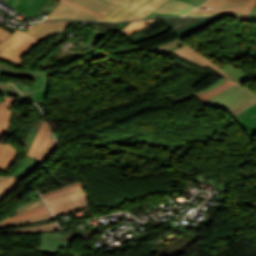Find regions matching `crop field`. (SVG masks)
Returning a JSON list of instances; mask_svg holds the SVG:
<instances>
[{
	"label": "crop field",
	"instance_id": "crop-field-1",
	"mask_svg": "<svg viewBox=\"0 0 256 256\" xmlns=\"http://www.w3.org/2000/svg\"><path fill=\"white\" fill-rule=\"evenodd\" d=\"M204 105L229 113L230 117L256 103V95L241 85L235 84L203 102Z\"/></svg>",
	"mask_w": 256,
	"mask_h": 256
},
{
	"label": "crop field",
	"instance_id": "crop-field-2",
	"mask_svg": "<svg viewBox=\"0 0 256 256\" xmlns=\"http://www.w3.org/2000/svg\"><path fill=\"white\" fill-rule=\"evenodd\" d=\"M119 5L101 21L142 19L167 0H108Z\"/></svg>",
	"mask_w": 256,
	"mask_h": 256
},
{
	"label": "crop field",
	"instance_id": "crop-field-3",
	"mask_svg": "<svg viewBox=\"0 0 256 256\" xmlns=\"http://www.w3.org/2000/svg\"><path fill=\"white\" fill-rule=\"evenodd\" d=\"M44 200L54 216L89 206L83 185L44 197Z\"/></svg>",
	"mask_w": 256,
	"mask_h": 256
},
{
	"label": "crop field",
	"instance_id": "crop-field-4",
	"mask_svg": "<svg viewBox=\"0 0 256 256\" xmlns=\"http://www.w3.org/2000/svg\"><path fill=\"white\" fill-rule=\"evenodd\" d=\"M171 52L180 57H183L193 63H196L204 68L207 66V67L219 72L227 79L232 80L237 83H241V82L253 77L249 73L243 71L241 68H239V67L235 68L234 66H232L230 64L227 65L226 67L220 69L215 64H213L210 60H208L207 58L202 56L200 53H198L197 51H195L193 48H191L188 45H184V46L177 48Z\"/></svg>",
	"mask_w": 256,
	"mask_h": 256
},
{
	"label": "crop field",
	"instance_id": "crop-field-5",
	"mask_svg": "<svg viewBox=\"0 0 256 256\" xmlns=\"http://www.w3.org/2000/svg\"><path fill=\"white\" fill-rule=\"evenodd\" d=\"M18 99L6 96L0 102V140L10 128V110L9 108ZM18 157V151L12 144L0 143V171L7 172L15 163Z\"/></svg>",
	"mask_w": 256,
	"mask_h": 256
},
{
	"label": "crop field",
	"instance_id": "crop-field-6",
	"mask_svg": "<svg viewBox=\"0 0 256 256\" xmlns=\"http://www.w3.org/2000/svg\"><path fill=\"white\" fill-rule=\"evenodd\" d=\"M41 41L17 30L6 42L0 44V56L23 63V55Z\"/></svg>",
	"mask_w": 256,
	"mask_h": 256
},
{
	"label": "crop field",
	"instance_id": "crop-field-7",
	"mask_svg": "<svg viewBox=\"0 0 256 256\" xmlns=\"http://www.w3.org/2000/svg\"><path fill=\"white\" fill-rule=\"evenodd\" d=\"M50 19H86L99 21L101 17L60 2V4L51 12L46 20Z\"/></svg>",
	"mask_w": 256,
	"mask_h": 256
},
{
	"label": "crop field",
	"instance_id": "crop-field-8",
	"mask_svg": "<svg viewBox=\"0 0 256 256\" xmlns=\"http://www.w3.org/2000/svg\"><path fill=\"white\" fill-rule=\"evenodd\" d=\"M71 23L72 21L41 22L34 25L25 33L42 41L45 38L56 34L59 29L64 31L65 29L69 28Z\"/></svg>",
	"mask_w": 256,
	"mask_h": 256
},
{
	"label": "crop field",
	"instance_id": "crop-field-9",
	"mask_svg": "<svg viewBox=\"0 0 256 256\" xmlns=\"http://www.w3.org/2000/svg\"><path fill=\"white\" fill-rule=\"evenodd\" d=\"M16 85V84H15ZM17 88L25 94L27 97L33 99L34 101L44 103L48 97V78L36 76V80L34 82L33 87L25 86V85H16Z\"/></svg>",
	"mask_w": 256,
	"mask_h": 256
},
{
	"label": "crop field",
	"instance_id": "crop-field-10",
	"mask_svg": "<svg viewBox=\"0 0 256 256\" xmlns=\"http://www.w3.org/2000/svg\"><path fill=\"white\" fill-rule=\"evenodd\" d=\"M232 119L249 138L256 135V104Z\"/></svg>",
	"mask_w": 256,
	"mask_h": 256
},
{
	"label": "crop field",
	"instance_id": "crop-field-11",
	"mask_svg": "<svg viewBox=\"0 0 256 256\" xmlns=\"http://www.w3.org/2000/svg\"><path fill=\"white\" fill-rule=\"evenodd\" d=\"M59 232L42 233L41 252L58 254L61 248H68L70 242L57 241Z\"/></svg>",
	"mask_w": 256,
	"mask_h": 256
},
{
	"label": "crop field",
	"instance_id": "crop-field-12",
	"mask_svg": "<svg viewBox=\"0 0 256 256\" xmlns=\"http://www.w3.org/2000/svg\"><path fill=\"white\" fill-rule=\"evenodd\" d=\"M223 17L219 18H202L178 31H175L176 35L179 39L183 40L207 27L214 24L218 20L222 19Z\"/></svg>",
	"mask_w": 256,
	"mask_h": 256
},
{
	"label": "crop field",
	"instance_id": "crop-field-13",
	"mask_svg": "<svg viewBox=\"0 0 256 256\" xmlns=\"http://www.w3.org/2000/svg\"><path fill=\"white\" fill-rule=\"evenodd\" d=\"M48 0H8L6 3L33 18Z\"/></svg>",
	"mask_w": 256,
	"mask_h": 256
},
{
	"label": "crop field",
	"instance_id": "crop-field-14",
	"mask_svg": "<svg viewBox=\"0 0 256 256\" xmlns=\"http://www.w3.org/2000/svg\"><path fill=\"white\" fill-rule=\"evenodd\" d=\"M71 3L81 5L95 13L105 15L108 13L115 5L108 3L104 0H66Z\"/></svg>",
	"mask_w": 256,
	"mask_h": 256
},
{
	"label": "crop field",
	"instance_id": "crop-field-15",
	"mask_svg": "<svg viewBox=\"0 0 256 256\" xmlns=\"http://www.w3.org/2000/svg\"><path fill=\"white\" fill-rule=\"evenodd\" d=\"M195 7L196 6L194 5H191L189 3H185L179 0H169L159 9H157L155 12L182 15Z\"/></svg>",
	"mask_w": 256,
	"mask_h": 256
},
{
	"label": "crop field",
	"instance_id": "crop-field-16",
	"mask_svg": "<svg viewBox=\"0 0 256 256\" xmlns=\"http://www.w3.org/2000/svg\"><path fill=\"white\" fill-rule=\"evenodd\" d=\"M51 134H52V132L49 129V127L44 119L32 145L29 149L30 151H29L28 155L35 158V156L38 154V152L43 147V145L46 143V141L51 136Z\"/></svg>",
	"mask_w": 256,
	"mask_h": 256
},
{
	"label": "crop field",
	"instance_id": "crop-field-17",
	"mask_svg": "<svg viewBox=\"0 0 256 256\" xmlns=\"http://www.w3.org/2000/svg\"><path fill=\"white\" fill-rule=\"evenodd\" d=\"M60 231L55 223V221L43 223L35 226H27L16 229H11L7 231H2V233H35V232H55Z\"/></svg>",
	"mask_w": 256,
	"mask_h": 256
},
{
	"label": "crop field",
	"instance_id": "crop-field-18",
	"mask_svg": "<svg viewBox=\"0 0 256 256\" xmlns=\"http://www.w3.org/2000/svg\"><path fill=\"white\" fill-rule=\"evenodd\" d=\"M247 4L237 5H213V6H200L199 8L192 11L193 13L202 12H234L242 14Z\"/></svg>",
	"mask_w": 256,
	"mask_h": 256
},
{
	"label": "crop field",
	"instance_id": "crop-field-19",
	"mask_svg": "<svg viewBox=\"0 0 256 256\" xmlns=\"http://www.w3.org/2000/svg\"><path fill=\"white\" fill-rule=\"evenodd\" d=\"M2 74L25 77L29 79H35V75H41V76H47V77L49 76V74L42 73V72H36V71H30V70H16L7 66L6 64L0 63V76Z\"/></svg>",
	"mask_w": 256,
	"mask_h": 256
},
{
	"label": "crop field",
	"instance_id": "crop-field-20",
	"mask_svg": "<svg viewBox=\"0 0 256 256\" xmlns=\"http://www.w3.org/2000/svg\"><path fill=\"white\" fill-rule=\"evenodd\" d=\"M20 181L13 176H0V201Z\"/></svg>",
	"mask_w": 256,
	"mask_h": 256
},
{
	"label": "crop field",
	"instance_id": "crop-field-21",
	"mask_svg": "<svg viewBox=\"0 0 256 256\" xmlns=\"http://www.w3.org/2000/svg\"><path fill=\"white\" fill-rule=\"evenodd\" d=\"M155 20L156 19L131 22L126 27H124L121 31H119V33L128 37V36L134 34L135 32H137L138 30L142 29L146 25L154 22Z\"/></svg>",
	"mask_w": 256,
	"mask_h": 256
},
{
	"label": "crop field",
	"instance_id": "crop-field-22",
	"mask_svg": "<svg viewBox=\"0 0 256 256\" xmlns=\"http://www.w3.org/2000/svg\"><path fill=\"white\" fill-rule=\"evenodd\" d=\"M58 149L57 144L53 137H50L44 147L41 149L39 154L37 155L36 159L40 161H44L48 158L54 151Z\"/></svg>",
	"mask_w": 256,
	"mask_h": 256
},
{
	"label": "crop field",
	"instance_id": "crop-field-23",
	"mask_svg": "<svg viewBox=\"0 0 256 256\" xmlns=\"http://www.w3.org/2000/svg\"><path fill=\"white\" fill-rule=\"evenodd\" d=\"M49 210L47 209L46 206L17 215V216H13V217H9V218H5L2 221H0V224L3 223H7V222H11V221H15V220H19V219H23V218H28V217H32V216H36V215H40V214H44V213H48Z\"/></svg>",
	"mask_w": 256,
	"mask_h": 256
},
{
	"label": "crop field",
	"instance_id": "crop-field-24",
	"mask_svg": "<svg viewBox=\"0 0 256 256\" xmlns=\"http://www.w3.org/2000/svg\"><path fill=\"white\" fill-rule=\"evenodd\" d=\"M182 45H184V44L181 42V40H179L177 38V39H174L170 42H167V43L161 44L159 46L150 48V50L158 52V53L163 55V54H165V53H167V52H169V51H171V50H173L177 47H180Z\"/></svg>",
	"mask_w": 256,
	"mask_h": 256
},
{
	"label": "crop field",
	"instance_id": "crop-field-25",
	"mask_svg": "<svg viewBox=\"0 0 256 256\" xmlns=\"http://www.w3.org/2000/svg\"><path fill=\"white\" fill-rule=\"evenodd\" d=\"M44 202L41 198L37 199V200H33L27 203H24L22 205H19V207L16 209V211L14 212V215L44 206Z\"/></svg>",
	"mask_w": 256,
	"mask_h": 256
},
{
	"label": "crop field",
	"instance_id": "crop-field-26",
	"mask_svg": "<svg viewBox=\"0 0 256 256\" xmlns=\"http://www.w3.org/2000/svg\"><path fill=\"white\" fill-rule=\"evenodd\" d=\"M47 219H52V216H51L50 213L44 214V215H40V216H36V217H32V218H28V219H24V220H19V221L7 223V224H3V225H0V228L20 225V224H25V223H29V222L47 220Z\"/></svg>",
	"mask_w": 256,
	"mask_h": 256
},
{
	"label": "crop field",
	"instance_id": "crop-field-27",
	"mask_svg": "<svg viewBox=\"0 0 256 256\" xmlns=\"http://www.w3.org/2000/svg\"><path fill=\"white\" fill-rule=\"evenodd\" d=\"M232 82V81H231ZM229 81L219 85L218 87H216L215 89H213L212 91L208 92V93H205L201 96H198L201 101L203 102L204 100H207L211 97H213L214 95H216L217 93H219L220 91L224 90L225 88L229 87L230 85L234 84V83H231Z\"/></svg>",
	"mask_w": 256,
	"mask_h": 256
},
{
	"label": "crop field",
	"instance_id": "crop-field-28",
	"mask_svg": "<svg viewBox=\"0 0 256 256\" xmlns=\"http://www.w3.org/2000/svg\"><path fill=\"white\" fill-rule=\"evenodd\" d=\"M0 92L5 94L15 95L17 97L26 98L22 96L20 92L17 91L12 84H9V83L0 82Z\"/></svg>",
	"mask_w": 256,
	"mask_h": 256
},
{
	"label": "crop field",
	"instance_id": "crop-field-29",
	"mask_svg": "<svg viewBox=\"0 0 256 256\" xmlns=\"http://www.w3.org/2000/svg\"><path fill=\"white\" fill-rule=\"evenodd\" d=\"M250 0H208L202 5L249 3Z\"/></svg>",
	"mask_w": 256,
	"mask_h": 256
},
{
	"label": "crop field",
	"instance_id": "crop-field-30",
	"mask_svg": "<svg viewBox=\"0 0 256 256\" xmlns=\"http://www.w3.org/2000/svg\"><path fill=\"white\" fill-rule=\"evenodd\" d=\"M169 31H171V29L168 27V28H166V29H164V30H161V31L156 32V33H154V34H151V35H149V36H147V37H144V38H142V39H139V40H137V41H134L133 43L138 44V43H141V42H143V41L149 40V39H151V38H153V37H155V36H158V35L167 33V32H169Z\"/></svg>",
	"mask_w": 256,
	"mask_h": 256
},
{
	"label": "crop field",
	"instance_id": "crop-field-31",
	"mask_svg": "<svg viewBox=\"0 0 256 256\" xmlns=\"http://www.w3.org/2000/svg\"><path fill=\"white\" fill-rule=\"evenodd\" d=\"M226 80H227V79H226ZM226 80H224V79L222 78V79H220L219 81L215 82L214 84H212V85H210V86H208V87L202 89L201 91H199V92H197V93H195V94H196V96H197V95H201V94H203V93H205V92H207V91H209V90L215 88L216 86H218L219 84L225 82Z\"/></svg>",
	"mask_w": 256,
	"mask_h": 256
},
{
	"label": "crop field",
	"instance_id": "crop-field-32",
	"mask_svg": "<svg viewBox=\"0 0 256 256\" xmlns=\"http://www.w3.org/2000/svg\"><path fill=\"white\" fill-rule=\"evenodd\" d=\"M203 15H230V16L240 17L239 14H234V13H202V14L188 13L184 16H203Z\"/></svg>",
	"mask_w": 256,
	"mask_h": 256
},
{
	"label": "crop field",
	"instance_id": "crop-field-33",
	"mask_svg": "<svg viewBox=\"0 0 256 256\" xmlns=\"http://www.w3.org/2000/svg\"><path fill=\"white\" fill-rule=\"evenodd\" d=\"M78 185H81V184L78 182V183H75V184H72V185H69V186L57 189L55 191H52V192H50L48 194L43 195L42 197L50 195V194H53V193H56V192H59V191H62V190H66V189H69V188H72V187H75V186H78Z\"/></svg>",
	"mask_w": 256,
	"mask_h": 256
},
{
	"label": "crop field",
	"instance_id": "crop-field-34",
	"mask_svg": "<svg viewBox=\"0 0 256 256\" xmlns=\"http://www.w3.org/2000/svg\"><path fill=\"white\" fill-rule=\"evenodd\" d=\"M256 2V0H251L250 3L248 4V6L246 7L245 11L243 12V14L241 15V17L245 18L246 15L248 14L249 10L251 9V7L254 5V3Z\"/></svg>",
	"mask_w": 256,
	"mask_h": 256
},
{
	"label": "crop field",
	"instance_id": "crop-field-35",
	"mask_svg": "<svg viewBox=\"0 0 256 256\" xmlns=\"http://www.w3.org/2000/svg\"><path fill=\"white\" fill-rule=\"evenodd\" d=\"M247 18L255 19L256 20V3L250 10L249 14L247 15Z\"/></svg>",
	"mask_w": 256,
	"mask_h": 256
},
{
	"label": "crop field",
	"instance_id": "crop-field-36",
	"mask_svg": "<svg viewBox=\"0 0 256 256\" xmlns=\"http://www.w3.org/2000/svg\"><path fill=\"white\" fill-rule=\"evenodd\" d=\"M9 35H10V33L5 31L4 29L0 28V39L2 41H4Z\"/></svg>",
	"mask_w": 256,
	"mask_h": 256
},
{
	"label": "crop field",
	"instance_id": "crop-field-37",
	"mask_svg": "<svg viewBox=\"0 0 256 256\" xmlns=\"http://www.w3.org/2000/svg\"><path fill=\"white\" fill-rule=\"evenodd\" d=\"M0 60L8 62V63H11V64H14V65H17V66H20V67L24 66L23 64H19V63L15 62V61H12V60H9V59L3 58V57H0Z\"/></svg>",
	"mask_w": 256,
	"mask_h": 256
},
{
	"label": "crop field",
	"instance_id": "crop-field-38",
	"mask_svg": "<svg viewBox=\"0 0 256 256\" xmlns=\"http://www.w3.org/2000/svg\"><path fill=\"white\" fill-rule=\"evenodd\" d=\"M59 1H62V2L67 3V4H70V5H72V6H75V7H77V8L82 9V10L88 11V12H90V13H93V12H91V11H89V10H86V9H84V8L78 6V5H74V4L68 3V2L63 1V0H59ZM93 14H95V13H93ZM95 15H98V14H95ZM98 16H100V15H98ZM101 17H103V16H101Z\"/></svg>",
	"mask_w": 256,
	"mask_h": 256
},
{
	"label": "crop field",
	"instance_id": "crop-field-39",
	"mask_svg": "<svg viewBox=\"0 0 256 256\" xmlns=\"http://www.w3.org/2000/svg\"><path fill=\"white\" fill-rule=\"evenodd\" d=\"M194 1H196V2H198V3H200V4H202L205 0H194Z\"/></svg>",
	"mask_w": 256,
	"mask_h": 256
},
{
	"label": "crop field",
	"instance_id": "crop-field-40",
	"mask_svg": "<svg viewBox=\"0 0 256 256\" xmlns=\"http://www.w3.org/2000/svg\"><path fill=\"white\" fill-rule=\"evenodd\" d=\"M0 42H2V41L0 40Z\"/></svg>",
	"mask_w": 256,
	"mask_h": 256
}]
</instances>
